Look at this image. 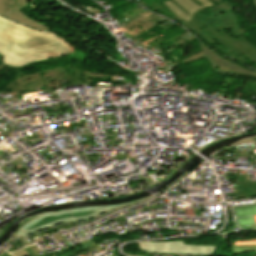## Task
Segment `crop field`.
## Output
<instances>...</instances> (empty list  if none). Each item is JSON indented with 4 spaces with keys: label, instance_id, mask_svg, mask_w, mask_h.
<instances>
[{
    "label": "crop field",
    "instance_id": "2",
    "mask_svg": "<svg viewBox=\"0 0 256 256\" xmlns=\"http://www.w3.org/2000/svg\"><path fill=\"white\" fill-rule=\"evenodd\" d=\"M216 3L209 11L212 15L206 17L201 12L195 15L206 27V33L219 44L237 56L244 55L253 63L256 61V46L249 43L245 37L246 30L236 18L231 3L226 0H211Z\"/></svg>",
    "mask_w": 256,
    "mask_h": 256
},
{
    "label": "crop field",
    "instance_id": "23",
    "mask_svg": "<svg viewBox=\"0 0 256 256\" xmlns=\"http://www.w3.org/2000/svg\"><path fill=\"white\" fill-rule=\"evenodd\" d=\"M2 57H3V56L0 55V60H2Z\"/></svg>",
    "mask_w": 256,
    "mask_h": 256
},
{
    "label": "crop field",
    "instance_id": "6",
    "mask_svg": "<svg viewBox=\"0 0 256 256\" xmlns=\"http://www.w3.org/2000/svg\"><path fill=\"white\" fill-rule=\"evenodd\" d=\"M201 43V42H200ZM201 46L204 50V53L210 58V60L214 63V67L218 70L234 73L243 76L255 77L256 72L248 71L227 59L219 56L215 51L209 49L205 44L201 43Z\"/></svg>",
    "mask_w": 256,
    "mask_h": 256
},
{
    "label": "crop field",
    "instance_id": "21",
    "mask_svg": "<svg viewBox=\"0 0 256 256\" xmlns=\"http://www.w3.org/2000/svg\"><path fill=\"white\" fill-rule=\"evenodd\" d=\"M45 255H41V256H48V254L46 253V251H44Z\"/></svg>",
    "mask_w": 256,
    "mask_h": 256
},
{
    "label": "crop field",
    "instance_id": "19",
    "mask_svg": "<svg viewBox=\"0 0 256 256\" xmlns=\"http://www.w3.org/2000/svg\"><path fill=\"white\" fill-rule=\"evenodd\" d=\"M82 250H85L84 246H80V247L76 248V253L79 251H82Z\"/></svg>",
    "mask_w": 256,
    "mask_h": 256
},
{
    "label": "crop field",
    "instance_id": "5",
    "mask_svg": "<svg viewBox=\"0 0 256 256\" xmlns=\"http://www.w3.org/2000/svg\"><path fill=\"white\" fill-rule=\"evenodd\" d=\"M139 249L147 253L187 256H214L217 245H185L184 241L139 243Z\"/></svg>",
    "mask_w": 256,
    "mask_h": 256
},
{
    "label": "crop field",
    "instance_id": "22",
    "mask_svg": "<svg viewBox=\"0 0 256 256\" xmlns=\"http://www.w3.org/2000/svg\"><path fill=\"white\" fill-rule=\"evenodd\" d=\"M3 67H4V65L1 64V65H0V70H1Z\"/></svg>",
    "mask_w": 256,
    "mask_h": 256
},
{
    "label": "crop field",
    "instance_id": "20",
    "mask_svg": "<svg viewBox=\"0 0 256 256\" xmlns=\"http://www.w3.org/2000/svg\"><path fill=\"white\" fill-rule=\"evenodd\" d=\"M9 92H16L17 96H21L20 93H19V90H13V91H9Z\"/></svg>",
    "mask_w": 256,
    "mask_h": 256
},
{
    "label": "crop field",
    "instance_id": "13",
    "mask_svg": "<svg viewBox=\"0 0 256 256\" xmlns=\"http://www.w3.org/2000/svg\"><path fill=\"white\" fill-rule=\"evenodd\" d=\"M149 5L152 6V9H154V10H156V11H163V12H165V13H163V14H165V15L171 17V18L173 17V16L166 10L165 7L155 5V3H152V2H150Z\"/></svg>",
    "mask_w": 256,
    "mask_h": 256
},
{
    "label": "crop field",
    "instance_id": "15",
    "mask_svg": "<svg viewBox=\"0 0 256 256\" xmlns=\"http://www.w3.org/2000/svg\"><path fill=\"white\" fill-rule=\"evenodd\" d=\"M67 74H81L79 67L67 65Z\"/></svg>",
    "mask_w": 256,
    "mask_h": 256
},
{
    "label": "crop field",
    "instance_id": "1",
    "mask_svg": "<svg viewBox=\"0 0 256 256\" xmlns=\"http://www.w3.org/2000/svg\"><path fill=\"white\" fill-rule=\"evenodd\" d=\"M75 49L57 34L42 33L0 16V54L4 56V65L21 67L66 56Z\"/></svg>",
    "mask_w": 256,
    "mask_h": 256
},
{
    "label": "crop field",
    "instance_id": "14",
    "mask_svg": "<svg viewBox=\"0 0 256 256\" xmlns=\"http://www.w3.org/2000/svg\"><path fill=\"white\" fill-rule=\"evenodd\" d=\"M68 81L72 83H84L81 75H68Z\"/></svg>",
    "mask_w": 256,
    "mask_h": 256
},
{
    "label": "crop field",
    "instance_id": "7",
    "mask_svg": "<svg viewBox=\"0 0 256 256\" xmlns=\"http://www.w3.org/2000/svg\"><path fill=\"white\" fill-rule=\"evenodd\" d=\"M162 20L158 15L152 14L148 15L138 21H135L127 26H125L128 30L127 32L133 36L136 35L146 29H151L155 27L158 23L162 22Z\"/></svg>",
    "mask_w": 256,
    "mask_h": 256
},
{
    "label": "crop field",
    "instance_id": "25",
    "mask_svg": "<svg viewBox=\"0 0 256 256\" xmlns=\"http://www.w3.org/2000/svg\"><path fill=\"white\" fill-rule=\"evenodd\" d=\"M254 64L256 65V62Z\"/></svg>",
    "mask_w": 256,
    "mask_h": 256
},
{
    "label": "crop field",
    "instance_id": "4",
    "mask_svg": "<svg viewBox=\"0 0 256 256\" xmlns=\"http://www.w3.org/2000/svg\"><path fill=\"white\" fill-rule=\"evenodd\" d=\"M168 11L174 16L173 19L181 23L185 27L191 29L194 33L200 36L210 46L217 43L208 34L200 28L204 25L193 15L202 11L205 8L213 6L209 0H165L161 2Z\"/></svg>",
    "mask_w": 256,
    "mask_h": 256
},
{
    "label": "crop field",
    "instance_id": "17",
    "mask_svg": "<svg viewBox=\"0 0 256 256\" xmlns=\"http://www.w3.org/2000/svg\"><path fill=\"white\" fill-rule=\"evenodd\" d=\"M83 245L86 247V249H89L91 247L94 248L97 246V244L93 240H89V241L83 243Z\"/></svg>",
    "mask_w": 256,
    "mask_h": 256
},
{
    "label": "crop field",
    "instance_id": "16",
    "mask_svg": "<svg viewBox=\"0 0 256 256\" xmlns=\"http://www.w3.org/2000/svg\"><path fill=\"white\" fill-rule=\"evenodd\" d=\"M4 12H7L6 0H0V14L2 15Z\"/></svg>",
    "mask_w": 256,
    "mask_h": 256
},
{
    "label": "crop field",
    "instance_id": "3",
    "mask_svg": "<svg viewBox=\"0 0 256 256\" xmlns=\"http://www.w3.org/2000/svg\"><path fill=\"white\" fill-rule=\"evenodd\" d=\"M147 198V197H145ZM143 198V199H145ZM142 200V199H140ZM138 201V200H136ZM135 202V201H132ZM131 202L119 204V205H108V206H93V207H79L70 210L53 211L42 213L31 220L27 221L23 225L19 226L18 230L13 233L15 239H19L29 233L51 227L55 224L77 221L88 219L94 215L102 213L114 207H118Z\"/></svg>",
    "mask_w": 256,
    "mask_h": 256
},
{
    "label": "crop field",
    "instance_id": "24",
    "mask_svg": "<svg viewBox=\"0 0 256 256\" xmlns=\"http://www.w3.org/2000/svg\"><path fill=\"white\" fill-rule=\"evenodd\" d=\"M5 253H6V252H5ZM5 253H3L2 255H5ZM2 255H1V256H2Z\"/></svg>",
    "mask_w": 256,
    "mask_h": 256
},
{
    "label": "crop field",
    "instance_id": "9",
    "mask_svg": "<svg viewBox=\"0 0 256 256\" xmlns=\"http://www.w3.org/2000/svg\"><path fill=\"white\" fill-rule=\"evenodd\" d=\"M22 75L23 77L20 78L16 75V81L20 92L27 89L32 90L34 88L45 86L38 71L33 72L30 75L28 73Z\"/></svg>",
    "mask_w": 256,
    "mask_h": 256
},
{
    "label": "crop field",
    "instance_id": "8",
    "mask_svg": "<svg viewBox=\"0 0 256 256\" xmlns=\"http://www.w3.org/2000/svg\"><path fill=\"white\" fill-rule=\"evenodd\" d=\"M61 68L57 67L41 72V76L48 90L58 88V85L66 80V70Z\"/></svg>",
    "mask_w": 256,
    "mask_h": 256
},
{
    "label": "crop field",
    "instance_id": "11",
    "mask_svg": "<svg viewBox=\"0 0 256 256\" xmlns=\"http://www.w3.org/2000/svg\"><path fill=\"white\" fill-rule=\"evenodd\" d=\"M29 0H7L8 12L16 11L28 6Z\"/></svg>",
    "mask_w": 256,
    "mask_h": 256
},
{
    "label": "crop field",
    "instance_id": "18",
    "mask_svg": "<svg viewBox=\"0 0 256 256\" xmlns=\"http://www.w3.org/2000/svg\"><path fill=\"white\" fill-rule=\"evenodd\" d=\"M15 82H16L15 80L9 82V84H8L9 90L18 89L17 85L15 84Z\"/></svg>",
    "mask_w": 256,
    "mask_h": 256
},
{
    "label": "crop field",
    "instance_id": "10",
    "mask_svg": "<svg viewBox=\"0 0 256 256\" xmlns=\"http://www.w3.org/2000/svg\"><path fill=\"white\" fill-rule=\"evenodd\" d=\"M3 15H5L7 17H10L12 19H15V20H17L19 22H22L24 24H27L29 26H32V27H34L36 29H39L41 31H50V29H51L48 26L40 24V23L26 17L21 10L16 11V12H11V13H5Z\"/></svg>",
    "mask_w": 256,
    "mask_h": 256
},
{
    "label": "crop field",
    "instance_id": "12",
    "mask_svg": "<svg viewBox=\"0 0 256 256\" xmlns=\"http://www.w3.org/2000/svg\"><path fill=\"white\" fill-rule=\"evenodd\" d=\"M211 47H213L215 50H217L218 52L222 53L223 55H225V56H227V57H229L231 59H234L236 61H239V62H241L243 64H244V62L247 61V59L244 56L239 58V57L235 56L234 54L230 53L228 50H226L223 47H221L218 43L213 45V46H211Z\"/></svg>",
    "mask_w": 256,
    "mask_h": 256
}]
</instances>
